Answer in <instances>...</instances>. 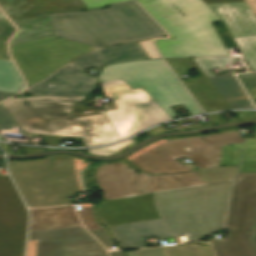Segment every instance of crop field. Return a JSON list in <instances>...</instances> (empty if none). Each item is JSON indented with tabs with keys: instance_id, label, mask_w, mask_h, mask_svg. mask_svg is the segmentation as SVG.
I'll use <instances>...</instances> for the list:
<instances>
[{
	"instance_id": "733c2abd",
	"label": "crop field",
	"mask_w": 256,
	"mask_h": 256,
	"mask_svg": "<svg viewBox=\"0 0 256 256\" xmlns=\"http://www.w3.org/2000/svg\"><path fill=\"white\" fill-rule=\"evenodd\" d=\"M127 256H213L209 246H198L197 243L178 247L154 248L126 252Z\"/></svg>"
},
{
	"instance_id": "730fd06b",
	"label": "crop field",
	"mask_w": 256,
	"mask_h": 256,
	"mask_svg": "<svg viewBox=\"0 0 256 256\" xmlns=\"http://www.w3.org/2000/svg\"><path fill=\"white\" fill-rule=\"evenodd\" d=\"M15 125H17V123L0 105V127H13Z\"/></svg>"
},
{
	"instance_id": "750c4746",
	"label": "crop field",
	"mask_w": 256,
	"mask_h": 256,
	"mask_svg": "<svg viewBox=\"0 0 256 256\" xmlns=\"http://www.w3.org/2000/svg\"><path fill=\"white\" fill-rule=\"evenodd\" d=\"M250 240H251L254 248H256V220H255L254 225H253V229H252V233H251V236H250Z\"/></svg>"
},
{
	"instance_id": "8a807250",
	"label": "crop field",
	"mask_w": 256,
	"mask_h": 256,
	"mask_svg": "<svg viewBox=\"0 0 256 256\" xmlns=\"http://www.w3.org/2000/svg\"><path fill=\"white\" fill-rule=\"evenodd\" d=\"M95 182L104 195L102 219L122 249L146 247L142 238L152 236H211L222 227L231 185L204 186L195 172L136 175L124 160L97 165Z\"/></svg>"
},
{
	"instance_id": "214f88e0",
	"label": "crop field",
	"mask_w": 256,
	"mask_h": 256,
	"mask_svg": "<svg viewBox=\"0 0 256 256\" xmlns=\"http://www.w3.org/2000/svg\"><path fill=\"white\" fill-rule=\"evenodd\" d=\"M104 57L97 51L94 50L84 56L75 59L72 64L79 66L84 69L103 65Z\"/></svg>"
},
{
	"instance_id": "1d83c4d3",
	"label": "crop field",
	"mask_w": 256,
	"mask_h": 256,
	"mask_svg": "<svg viewBox=\"0 0 256 256\" xmlns=\"http://www.w3.org/2000/svg\"><path fill=\"white\" fill-rule=\"evenodd\" d=\"M110 254L111 256H125L122 251L110 252Z\"/></svg>"
},
{
	"instance_id": "412701ff",
	"label": "crop field",
	"mask_w": 256,
	"mask_h": 256,
	"mask_svg": "<svg viewBox=\"0 0 256 256\" xmlns=\"http://www.w3.org/2000/svg\"><path fill=\"white\" fill-rule=\"evenodd\" d=\"M242 142L238 131L169 141L159 139L124 157L147 173L167 174L191 171L175 158L188 156L199 167L203 183L232 179L237 167H217L220 163L221 146Z\"/></svg>"
},
{
	"instance_id": "d3111659",
	"label": "crop field",
	"mask_w": 256,
	"mask_h": 256,
	"mask_svg": "<svg viewBox=\"0 0 256 256\" xmlns=\"http://www.w3.org/2000/svg\"><path fill=\"white\" fill-rule=\"evenodd\" d=\"M237 113L239 118L256 117V112L254 111H237Z\"/></svg>"
},
{
	"instance_id": "d32e631a",
	"label": "crop field",
	"mask_w": 256,
	"mask_h": 256,
	"mask_svg": "<svg viewBox=\"0 0 256 256\" xmlns=\"http://www.w3.org/2000/svg\"><path fill=\"white\" fill-rule=\"evenodd\" d=\"M0 141H5V140L0 136Z\"/></svg>"
},
{
	"instance_id": "22f410ed",
	"label": "crop field",
	"mask_w": 256,
	"mask_h": 256,
	"mask_svg": "<svg viewBox=\"0 0 256 256\" xmlns=\"http://www.w3.org/2000/svg\"><path fill=\"white\" fill-rule=\"evenodd\" d=\"M225 23L236 44L256 70V18L244 0H203Z\"/></svg>"
},
{
	"instance_id": "f4fd0767",
	"label": "crop field",
	"mask_w": 256,
	"mask_h": 256,
	"mask_svg": "<svg viewBox=\"0 0 256 256\" xmlns=\"http://www.w3.org/2000/svg\"><path fill=\"white\" fill-rule=\"evenodd\" d=\"M86 97L12 98L1 105L24 132L68 137H82L85 126L70 111ZM86 126L83 142L86 147L118 140L103 115L79 118Z\"/></svg>"
},
{
	"instance_id": "4177f3b9",
	"label": "crop field",
	"mask_w": 256,
	"mask_h": 256,
	"mask_svg": "<svg viewBox=\"0 0 256 256\" xmlns=\"http://www.w3.org/2000/svg\"><path fill=\"white\" fill-rule=\"evenodd\" d=\"M105 247L114 246L115 244L110 240L111 236L106 229L91 232Z\"/></svg>"
},
{
	"instance_id": "00972430",
	"label": "crop field",
	"mask_w": 256,
	"mask_h": 256,
	"mask_svg": "<svg viewBox=\"0 0 256 256\" xmlns=\"http://www.w3.org/2000/svg\"><path fill=\"white\" fill-rule=\"evenodd\" d=\"M15 28L0 12V38L8 39L9 35L14 32Z\"/></svg>"
},
{
	"instance_id": "cbeb9de0",
	"label": "crop field",
	"mask_w": 256,
	"mask_h": 256,
	"mask_svg": "<svg viewBox=\"0 0 256 256\" xmlns=\"http://www.w3.org/2000/svg\"><path fill=\"white\" fill-rule=\"evenodd\" d=\"M83 70L68 65L47 80L27 89L35 96H88L95 89L96 77L80 74Z\"/></svg>"
},
{
	"instance_id": "eef30255",
	"label": "crop field",
	"mask_w": 256,
	"mask_h": 256,
	"mask_svg": "<svg viewBox=\"0 0 256 256\" xmlns=\"http://www.w3.org/2000/svg\"><path fill=\"white\" fill-rule=\"evenodd\" d=\"M89 9L99 8L110 3L125 1V0H82ZM82 2V3H83Z\"/></svg>"
},
{
	"instance_id": "92a150f3",
	"label": "crop field",
	"mask_w": 256,
	"mask_h": 256,
	"mask_svg": "<svg viewBox=\"0 0 256 256\" xmlns=\"http://www.w3.org/2000/svg\"><path fill=\"white\" fill-rule=\"evenodd\" d=\"M237 76L256 105V72L239 74Z\"/></svg>"
},
{
	"instance_id": "bd1437ed",
	"label": "crop field",
	"mask_w": 256,
	"mask_h": 256,
	"mask_svg": "<svg viewBox=\"0 0 256 256\" xmlns=\"http://www.w3.org/2000/svg\"><path fill=\"white\" fill-rule=\"evenodd\" d=\"M12 95H13V93H7V92L0 91V100L6 99Z\"/></svg>"
},
{
	"instance_id": "4a817a6b",
	"label": "crop field",
	"mask_w": 256,
	"mask_h": 256,
	"mask_svg": "<svg viewBox=\"0 0 256 256\" xmlns=\"http://www.w3.org/2000/svg\"><path fill=\"white\" fill-rule=\"evenodd\" d=\"M98 51L105 57L104 64L136 59H149L138 42L99 49Z\"/></svg>"
},
{
	"instance_id": "120bbe31",
	"label": "crop field",
	"mask_w": 256,
	"mask_h": 256,
	"mask_svg": "<svg viewBox=\"0 0 256 256\" xmlns=\"http://www.w3.org/2000/svg\"><path fill=\"white\" fill-rule=\"evenodd\" d=\"M81 207H93V205L91 203H89V204H81Z\"/></svg>"
},
{
	"instance_id": "dafd665d",
	"label": "crop field",
	"mask_w": 256,
	"mask_h": 256,
	"mask_svg": "<svg viewBox=\"0 0 256 256\" xmlns=\"http://www.w3.org/2000/svg\"><path fill=\"white\" fill-rule=\"evenodd\" d=\"M82 211H78L83 223L88 228L89 231L103 229V226L97 224L94 217L92 208H81Z\"/></svg>"
},
{
	"instance_id": "ac0d7876",
	"label": "crop field",
	"mask_w": 256,
	"mask_h": 256,
	"mask_svg": "<svg viewBox=\"0 0 256 256\" xmlns=\"http://www.w3.org/2000/svg\"><path fill=\"white\" fill-rule=\"evenodd\" d=\"M175 40H154L163 58L229 56L201 0H136Z\"/></svg>"
},
{
	"instance_id": "d8731c3e",
	"label": "crop field",
	"mask_w": 256,
	"mask_h": 256,
	"mask_svg": "<svg viewBox=\"0 0 256 256\" xmlns=\"http://www.w3.org/2000/svg\"><path fill=\"white\" fill-rule=\"evenodd\" d=\"M122 79L131 89L142 88L172 119L170 108L182 105L190 115L202 113L161 59L110 64L98 74L99 82Z\"/></svg>"
},
{
	"instance_id": "d9b57169",
	"label": "crop field",
	"mask_w": 256,
	"mask_h": 256,
	"mask_svg": "<svg viewBox=\"0 0 256 256\" xmlns=\"http://www.w3.org/2000/svg\"><path fill=\"white\" fill-rule=\"evenodd\" d=\"M208 79L222 95L231 109L253 108L250 100L240 88L231 72L220 76L209 77Z\"/></svg>"
},
{
	"instance_id": "e52e79f7",
	"label": "crop field",
	"mask_w": 256,
	"mask_h": 256,
	"mask_svg": "<svg viewBox=\"0 0 256 256\" xmlns=\"http://www.w3.org/2000/svg\"><path fill=\"white\" fill-rule=\"evenodd\" d=\"M8 165L29 208L72 204L69 196L80 191L72 156L51 155L40 160L8 162Z\"/></svg>"
},
{
	"instance_id": "28ad6ade",
	"label": "crop field",
	"mask_w": 256,
	"mask_h": 256,
	"mask_svg": "<svg viewBox=\"0 0 256 256\" xmlns=\"http://www.w3.org/2000/svg\"><path fill=\"white\" fill-rule=\"evenodd\" d=\"M20 30L10 45L52 35L50 13L88 9L81 0H0Z\"/></svg>"
},
{
	"instance_id": "ae1a2a85",
	"label": "crop field",
	"mask_w": 256,
	"mask_h": 256,
	"mask_svg": "<svg viewBox=\"0 0 256 256\" xmlns=\"http://www.w3.org/2000/svg\"><path fill=\"white\" fill-rule=\"evenodd\" d=\"M143 50L146 52V54L149 56L150 59L159 58L157 52L153 48L150 40L147 41H141L139 42Z\"/></svg>"
},
{
	"instance_id": "5866460e",
	"label": "crop field",
	"mask_w": 256,
	"mask_h": 256,
	"mask_svg": "<svg viewBox=\"0 0 256 256\" xmlns=\"http://www.w3.org/2000/svg\"><path fill=\"white\" fill-rule=\"evenodd\" d=\"M77 120H79L78 118H77ZM80 121V120H79ZM81 122V121H80ZM82 123V122H81ZM84 137V136H83Z\"/></svg>"
},
{
	"instance_id": "3316defc",
	"label": "crop field",
	"mask_w": 256,
	"mask_h": 256,
	"mask_svg": "<svg viewBox=\"0 0 256 256\" xmlns=\"http://www.w3.org/2000/svg\"><path fill=\"white\" fill-rule=\"evenodd\" d=\"M101 86L106 97H112L118 108L104 114L122 138L170 120L142 89L131 90L122 80L103 82Z\"/></svg>"
},
{
	"instance_id": "34b2d1b8",
	"label": "crop field",
	"mask_w": 256,
	"mask_h": 256,
	"mask_svg": "<svg viewBox=\"0 0 256 256\" xmlns=\"http://www.w3.org/2000/svg\"><path fill=\"white\" fill-rule=\"evenodd\" d=\"M109 6L50 14L53 35L96 47L167 35L133 0Z\"/></svg>"
},
{
	"instance_id": "5a996713",
	"label": "crop field",
	"mask_w": 256,
	"mask_h": 256,
	"mask_svg": "<svg viewBox=\"0 0 256 256\" xmlns=\"http://www.w3.org/2000/svg\"><path fill=\"white\" fill-rule=\"evenodd\" d=\"M256 217V173L237 174L223 240L210 239L216 256H256L249 236Z\"/></svg>"
},
{
	"instance_id": "dd49c442",
	"label": "crop field",
	"mask_w": 256,
	"mask_h": 256,
	"mask_svg": "<svg viewBox=\"0 0 256 256\" xmlns=\"http://www.w3.org/2000/svg\"><path fill=\"white\" fill-rule=\"evenodd\" d=\"M27 256H107L70 206L29 210Z\"/></svg>"
},
{
	"instance_id": "5142ce71",
	"label": "crop field",
	"mask_w": 256,
	"mask_h": 256,
	"mask_svg": "<svg viewBox=\"0 0 256 256\" xmlns=\"http://www.w3.org/2000/svg\"><path fill=\"white\" fill-rule=\"evenodd\" d=\"M175 74L181 79V75L189 74L188 71L196 70L200 76L192 77L194 81L183 84L199 102L206 113L230 109L217 90L205 77L192 58L165 59Z\"/></svg>"
},
{
	"instance_id": "d1516ede",
	"label": "crop field",
	"mask_w": 256,
	"mask_h": 256,
	"mask_svg": "<svg viewBox=\"0 0 256 256\" xmlns=\"http://www.w3.org/2000/svg\"><path fill=\"white\" fill-rule=\"evenodd\" d=\"M25 209L10 178L0 179V256H23Z\"/></svg>"
},
{
	"instance_id": "a9b5d70f",
	"label": "crop field",
	"mask_w": 256,
	"mask_h": 256,
	"mask_svg": "<svg viewBox=\"0 0 256 256\" xmlns=\"http://www.w3.org/2000/svg\"><path fill=\"white\" fill-rule=\"evenodd\" d=\"M82 163H83L82 160L75 158V171H76V176H77L79 187L81 190H86L85 185H84V179H83V170L91 162H89L83 166H82Z\"/></svg>"
},
{
	"instance_id": "bc2a9ffb",
	"label": "crop field",
	"mask_w": 256,
	"mask_h": 256,
	"mask_svg": "<svg viewBox=\"0 0 256 256\" xmlns=\"http://www.w3.org/2000/svg\"><path fill=\"white\" fill-rule=\"evenodd\" d=\"M23 87V82L12 62L0 60V90L17 93Z\"/></svg>"
}]
</instances>
